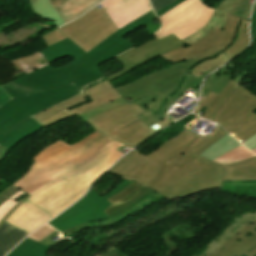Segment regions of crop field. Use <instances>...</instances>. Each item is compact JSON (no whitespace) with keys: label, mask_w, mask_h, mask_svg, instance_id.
Returning a JSON list of instances; mask_svg holds the SVG:
<instances>
[{"label":"crop field","mask_w":256,"mask_h":256,"mask_svg":"<svg viewBox=\"0 0 256 256\" xmlns=\"http://www.w3.org/2000/svg\"><path fill=\"white\" fill-rule=\"evenodd\" d=\"M157 19L152 11L119 29L89 52L68 38L41 51L53 63L70 55L74 61L59 69L47 65L20 79L0 86V162L21 139L43 127L33 116L77 95L86 84L104 76L98 65L131 49L124 36ZM74 83V84H73Z\"/></svg>","instance_id":"obj_1"},{"label":"crop field","mask_w":256,"mask_h":256,"mask_svg":"<svg viewBox=\"0 0 256 256\" xmlns=\"http://www.w3.org/2000/svg\"><path fill=\"white\" fill-rule=\"evenodd\" d=\"M83 92L93 101L72 111L65 108L41 123L48 127L77 115L89 127L132 148L154 134L149 125L163 119L143 107L157 96L128 104L108 80Z\"/></svg>","instance_id":"obj_2"},{"label":"crop field","mask_w":256,"mask_h":256,"mask_svg":"<svg viewBox=\"0 0 256 256\" xmlns=\"http://www.w3.org/2000/svg\"><path fill=\"white\" fill-rule=\"evenodd\" d=\"M225 134L217 125L211 136L201 135L191 146L169 159V164L166 161L146 186L170 200L221 187L223 166L199 155Z\"/></svg>","instance_id":"obj_3"},{"label":"crop field","mask_w":256,"mask_h":256,"mask_svg":"<svg viewBox=\"0 0 256 256\" xmlns=\"http://www.w3.org/2000/svg\"><path fill=\"white\" fill-rule=\"evenodd\" d=\"M227 61L229 60L220 51L197 61L191 59L170 65L158 70L160 73L156 71L141 79H136L119 86L115 90L128 103L142 97L161 94L145 107L163 117L176 97L183 94L190 87L196 89L208 73ZM190 68H193V73L191 75H185L186 71Z\"/></svg>","instance_id":"obj_4"},{"label":"crop field","mask_w":256,"mask_h":256,"mask_svg":"<svg viewBox=\"0 0 256 256\" xmlns=\"http://www.w3.org/2000/svg\"><path fill=\"white\" fill-rule=\"evenodd\" d=\"M121 146L111 142L30 194L32 197L27 200L54 216L59 214L78 200L87 188L123 155L116 150Z\"/></svg>","instance_id":"obj_5"},{"label":"crop field","mask_w":256,"mask_h":256,"mask_svg":"<svg viewBox=\"0 0 256 256\" xmlns=\"http://www.w3.org/2000/svg\"><path fill=\"white\" fill-rule=\"evenodd\" d=\"M111 141L96 131L72 146L58 140L33 157L28 173L14 185L30 194Z\"/></svg>","instance_id":"obj_6"},{"label":"crop field","mask_w":256,"mask_h":256,"mask_svg":"<svg viewBox=\"0 0 256 256\" xmlns=\"http://www.w3.org/2000/svg\"><path fill=\"white\" fill-rule=\"evenodd\" d=\"M205 106L203 118L219 123L241 143L256 134V95L238 83L231 80Z\"/></svg>","instance_id":"obj_7"},{"label":"crop field","mask_w":256,"mask_h":256,"mask_svg":"<svg viewBox=\"0 0 256 256\" xmlns=\"http://www.w3.org/2000/svg\"><path fill=\"white\" fill-rule=\"evenodd\" d=\"M189 129L175 142L167 140L156 151L146 156L135 149L127 153L108 172L127 180L146 185L161 169L166 160L191 145L199 134Z\"/></svg>","instance_id":"obj_8"},{"label":"crop field","mask_w":256,"mask_h":256,"mask_svg":"<svg viewBox=\"0 0 256 256\" xmlns=\"http://www.w3.org/2000/svg\"><path fill=\"white\" fill-rule=\"evenodd\" d=\"M116 30L117 27L102 7H95L77 20L42 37L47 45L68 37L87 52Z\"/></svg>","instance_id":"obj_9"},{"label":"crop field","mask_w":256,"mask_h":256,"mask_svg":"<svg viewBox=\"0 0 256 256\" xmlns=\"http://www.w3.org/2000/svg\"><path fill=\"white\" fill-rule=\"evenodd\" d=\"M246 212L235 218L237 223L208 245L200 256H256V212Z\"/></svg>","instance_id":"obj_10"},{"label":"crop field","mask_w":256,"mask_h":256,"mask_svg":"<svg viewBox=\"0 0 256 256\" xmlns=\"http://www.w3.org/2000/svg\"><path fill=\"white\" fill-rule=\"evenodd\" d=\"M212 14L213 10L201 1L187 0L159 17L163 27L154 35L160 39L174 33L182 40L203 28Z\"/></svg>","instance_id":"obj_11"},{"label":"crop field","mask_w":256,"mask_h":256,"mask_svg":"<svg viewBox=\"0 0 256 256\" xmlns=\"http://www.w3.org/2000/svg\"><path fill=\"white\" fill-rule=\"evenodd\" d=\"M162 198L164 197L152 191L150 188L133 181L118 194L107 199L113 204L111 203L112 205L104 211L110 217L106 221L92 226H90L89 223L82 224L63 233L69 236L87 227H105L111 225L112 223L121 221L130 216L131 213L137 210H141L152 203L158 202V200Z\"/></svg>","instance_id":"obj_12"},{"label":"crop field","mask_w":256,"mask_h":256,"mask_svg":"<svg viewBox=\"0 0 256 256\" xmlns=\"http://www.w3.org/2000/svg\"><path fill=\"white\" fill-rule=\"evenodd\" d=\"M129 183L130 181L127 180L122 181L114 189L102 197L90 189L81 200H79L63 214L49 222V224L62 232L82 223L107 218L108 216L103 211L109 207L111 203L107 201L106 198L118 193Z\"/></svg>","instance_id":"obj_13"},{"label":"crop field","mask_w":256,"mask_h":256,"mask_svg":"<svg viewBox=\"0 0 256 256\" xmlns=\"http://www.w3.org/2000/svg\"><path fill=\"white\" fill-rule=\"evenodd\" d=\"M240 20V18L229 15L224 30L216 27L212 33L202 40L189 46L183 45L162 56L177 63L190 58L197 60L220 50L223 52L231 45Z\"/></svg>","instance_id":"obj_14"},{"label":"crop field","mask_w":256,"mask_h":256,"mask_svg":"<svg viewBox=\"0 0 256 256\" xmlns=\"http://www.w3.org/2000/svg\"><path fill=\"white\" fill-rule=\"evenodd\" d=\"M184 43L174 34L164 37L160 40L153 38L121 55L116 59L123 66V69L108 76L109 81L137 68L138 66L167 53Z\"/></svg>","instance_id":"obj_15"},{"label":"crop field","mask_w":256,"mask_h":256,"mask_svg":"<svg viewBox=\"0 0 256 256\" xmlns=\"http://www.w3.org/2000/svg\"><path fill=\"white\" fill-rule=\"evenodd\" d=\"M254 1V0H253ZM252 0H226L224 1L214 12L209 23L197 33L191 35L183 42L187 45L194 43L210 32L213 31L214 27L224 28L228 14L237 16L240 18L248 19Z\"/></svg>","instance_id":"obj_16"},{"label":"crop field","mask_w":256,"mask_h":256,"mask_svg":"<svg viewBox=\"0 0 256 256\" xmlns=\"http://www.w3.org/2000/svg\"><path fill=\"white\" fill-rule=\"evenodd\" d=\"M100 4L118 29L152 10L149 0H103Z\"/></svg>","instance_id":"obj_17"},{"label":"crop field","mask_w":256,"mask_h":256,"mask_svg":"<svg viewBox=\"0 0 256 256\" xmlns=\"http://www.w3.org/2000/svg\"><path fill=\"white\" fill-rule=\"evenodd\" d=\"M50 218L52 216L44 210L26 201L9 216L7 222L30 233Z\"/></svg>","instance_id":"obj_18"},{"label":"crop field","mask_w":256,"mask_h":256,"mask_svg":"<svg viewBox=\"0 0 256 256\" xmlns=\"http://www.w3.org/2000/svg\"><path fill=\"white\" fill-rule=\"evenodd\" d=\"M20 190L16 187L0 198V205ZM27 234V232L5 222L0 227V256H4L13 249Z\"/></svg>","instance_id":"obj_19"},{"label":"crop field","mask_w":256,"mask_h":256,"mask_svg":"<svg viewBox=\"0 0 256 256\" xmlns=\"http://www.w3.org/2000/svg\"><path fill=\"white\" fill-rule=\"evenodd\" d=\"M65 23L88 11L101 0H49Z\"/></svg>","instance_id":"obj_20"},{"label":"crop field","mask_w":256,"mask_h":256,"mask_svg":"<svg viewBox=\"0 0 256 256\" xmlns=\"http://www.w3.org/2000/svg\"><path fill=\"white\" fill-rule=\"evenodd\" d=\"M230 74H231V65L226 64L222 68H220L218 71H216L215 73L207 77L206 80L204 81L199 103H201L206 98V96L210 93L211 90L219 94L221 90L232 79L230 78ZM243 77L244 75L241 77H235L233 80L240 83Z\"/></svg>","instance_id":"obj_21"},{"label":"crop field","mask_w":256,"mask_h":256,"mask_svg":"<svg viewBox=\"0 0 256 256\" xmlns=\"http://www.w3.org/2000/svg\"><path fill=\"white\" fill-rule=\"evenodd\" d=\"M224 167V181L256 180V157Z\"/></svg>","instance_id":"obj_22"},{"label":"crop field","mask_w":256,"mask_h":256,"mask_svg":"<svg viewBox=\"0 0 256 256\" xmlns=\"http://www.w3.org/2000/svg\"><path fill=\"white\" fill-rule=\"evenodd\" d=\"M247 27L248 21L242 19L237 29L236 38L233 44L224 51L229 60L238 55L248 46L249 38L247 35Z\"/></svg>","instance_id":"obj_23"},{"label":"crop field","mask_w":256,"mask_h":256,"mask_svg":"<svg viewBox=\"0 0 256 256\" xmlns=\"http://www.w3.org/2000/svg\"><path fill=\"white\" fill-rule=\"evenodd\" d=\"M50 247L26 238L7 256H49L44 254Z\"/></svg>","instance_id":"obj_24"},{"label":"crop field","mask_w":256,"mask_h":256,"mask_svg":"<svg viewBox=\"0 0 256 256\" xmlns=\"http://www.w3.org/2000/svg\"><path fill=\"white\" fill-rule=\"evenodd\" d=\"M30 3L33 11L43 19L53 20L56 27L64 24L48 0H30Z\"/></svg>","instance_id":"obj_25"},{"label":"crop field","mask_w":256,"mask_h":256,"mask_svg":"<svg viewBox=\"0 0 256 256\" xmlns=\"http://www.w3.org/2000/svg\"><path fill=\"white\" fill-rule=\"evenodd\" d=\"M240 145L236 142L231 136L228 134L205 150L201 156L206 157L210 160L216 158L217 156L221 155L222 153Z\"/></svg>","instance_id":"obj_26"},{"label":"crop field","mask_w":256,"mask_h":256,"mask_svg":"<svg viewBox=\"0 0 256 256\" xmlns=\"http://www.w3.org/2000/svg\"><path fill=\"white\" fill-rule=\"evenodd\" d=\"M253 153L244 148L242 145L237 147L236 149L226 153L225 155L213 160L221 165L238 162L241 160H245L251 157H255Z\"/></svg>","instance_id":"obj_27"},{"label":"crop field","mask_w":256,"mask_h":256,"mask_svg":"<svg viewBox=\"0 0 256 256\" xmlns=\"http://www.w3.org/2000/svg\"><path fill=\"white\" fill-rule=\"evenodd\" d=\"M84 96H85V95L81 94V95H79V96H77V97H75V98H73V99H71V100H68V101H66V102H64V103H61V104H58V105H56V106H54V107H52V108H50V109H48V110H45V111H43V112H41V113L35 115L34 117H35L36 119H38L39 121H41V120H43V119H45V118H47V117L53 115L54 113L60 111L61 109L65 108V107L68 108V107H70V106H72V105H74V104H77V103H79V102L85 100V99L83 98ZM83 102H84V101H83ZM38 120H37V121H38Z\"/></svg>","instance_id":"obj_28"},{"label":"crop field","mask_w":256,"mask_h":256,"mask_svg":"<svg viewBox=\"0 0 256 256\" xmlns=\"http://www.w3.org/2000/svg\"><path fill=\"white\" fill-rule=\"evenodd\" d=\"M25 192L20 191L18 194L12 196L9 200H7L5 203H3L0 206V220L3 218V216L9 211L11 210L17 203H19L21 200H19L18 202L15 201L16 199H18L20 196H22Z\"/></svg>","instance_id":"obj_29"},{"label":"crop field","mask_w":256,"mask_h":256,"mask_svg":"<svg viewBox=\"0 0 256 256\" xmlns=\"http://www.w3.org/2000/svg\"><path fill=\"white\" fill-rule=\"evenodd\" d=\"M54 230V228H52L51 226H49L48 224H46L45 226H43L41 229H39L38 231H36L34 234H32L31 236H29V238L39 242L41 241L43 238H45L46 236H48L50 233H52Z\"/></svg>","instance_id":"obj_30"},{"label":"crop field","mask_w":256,"mask_h":256,"mask_svg":"<svg viewBox=\"0 0 256 256\" xmlns=\"http://www.w3.org/2000/svg\"><path fill=\"white\" fill-rule=\"evenodd\" d=\"M184 0H176L173 3L163 7L162 9H160L159 11L156 12L157 17L161 16L162 14H164L165 12H167L169 9H171L172 7H174L175 5H177L178 3L182 2ZM204 1V0H201ZM224 0H219L216 5L212 8V9H216Z\"/></svg>","instance_id":"obj_31"},{"label":"crop field","mask_w":256,"mask_h":256,"mask_svg":"<svg viewBox=\"0 0 256 256\" xmlns=\"http://www.w3.org/2000/svg\"><path fill=\"white\" fill-rule=\"evenodd\" d=\"M172 121H174V118L165 114V117L162 121H160V122H158V123H156V124H154L150 127L155 129L156 131H159L160 129H162L163 127H165L166 125H168Z\"/></svg>","instance_id":"obj_32"},{"label":"crop field","mask_w":256,"mask_h":256,"mask_svg":"<svg viewBox=\"0 0 256 256\" xmlns=\"http://www.w3.org/2000/svg\"><path fill=\"white\" fill-rule=\"evenodd\" d=\"M174 0H151L152 2V6L155 10V12L157 10H159L161 7L173 2ZM162 9V8H161Z\"/></svg>","instance_id":"obj_33"},{"label":"crop field","mask_w":256,"mask_h":256,"mask_svg":"<svg viewBox=\"0 0 256 256\" xmlns=\"http://www.w3.org/2000/svg\"><path fill=\"white\" fill-rule=\"evenodd\" d=\"M251 37L256 38V6L251 19Z\"/></svg>","instance_id":"obj_34"},{"label":"crop field","mask_w":256,"mask_h":256,"mask_svg":"<svg viewBox=\"0 0 256 256\" xmlns=\"http://www.w3.org/2000/svg\"><path fill=\"white\" fill-rule=\"evenodd\" d=\"M245 146L249 148L253 147L256 145V135H254L253 137H251L250 139H248L247 141H245L244 143Z\"/></svg>","instance_id":"obj_35"},{"label":"crop field","mask_w":256,"mask_h":256,"mask_svg":"<svg viewBox=\"0 0 256 256\" xmlns=\"http://www.w3.org/2000/svg\"><path fill=\"white\" fill-rule=\"evenodd\" d=\"M214 92H211L207 98L195 109L194 113L197 115L198 112L203 108V106L207 103V101L212 97Z\"/></svg>","instance_id":"obj_36"},{"label":"crop field","mask_w":256,"mask_h":256,"mask_svg":"<svg viewBox=\"0 0 256 256\" xmlns=\"http://www.w3.org/2000/svg\"><path fill=\"white\" fill-rule=\"evenodd\" d=\"M31 197L30 195H28L23 201H21L19 204H17L11 211H9L5 216L4 218L0 221V226L3 222L6 221V219L8 218V216L21 204L23 203L24 201H26L27 198Z\"/></svg>","instance_id":"obj_37"},{"label":"crop field","mask_w":256,"mask_h":256,"mask_svg":"<svg viewBox=\"0 0 256 256\" xmlns=\"http://www.w3.org/2000/svg\"><path fill=\"white\" fill-rule=\"evenodd\" d=\"M13 187H15L14 185H12L10 188L6 189L5 191L0 193V197H2L5 193H7L9 190H11Z\"/></svg>","instance_id":"obj_38"},{"label":"crop field","mask_w":256,"mask_h":256,"mask_svg":"<svg viewBox=\"0 0 256 256\" xmlns=\"http://www.w3.org/2000/svg\"><path fill=\"white\" fill-rule=\"evenodd\" d=\"M249 150H251L253 153H255V154H256V146H255V147H253V148H251V149H249Z\"/></svg>","instance_id":"obj_39"},{"label":"crop field","mask_w":256,"mask_h":256,"mask_svg":"<svg viewBox=\"0 0 256 256\" xmlns=\"http://www.w3.org/2000/svg\"><path fill=\"white\" fill-rule=\"evenodd\" d=\"M193 256H197V255L195 254V255H193Z\"/></svg>","instance_id":"obj_40"},{"label":"crop field","mask_w":256,"mask_h":256,"mask_svg":"<svg viewBox=\"0 0 256 256\" xmlns=\"http://www.w3.org/2000/svg\"><path fill=\"white\" fill-rule=\"evenodd\" d=\"M243 256H245V255H243Z\"/></svg>","instance_id":"obj_41"}]
</instances>
